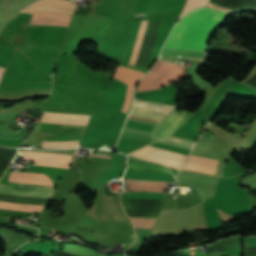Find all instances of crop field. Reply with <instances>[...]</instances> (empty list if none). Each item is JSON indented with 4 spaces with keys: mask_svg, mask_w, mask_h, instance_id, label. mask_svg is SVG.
<instances>
[{
    "mask_svg": "<svg viewBox=\"0 0 256 256\" xmlns=\"http://www.w3.org/2000/svg\"><path fill=\"white\" fill-rule=\"evenodd\" d=\"M21 154L26 155H47V156H57V157H65L72 159L73 155L69 154H60V153H50V152H40V151H27L20 150ZM28 160L34 162V165H50L60 168H68L71 160L57 157H46V156H26Z\"/></svg>",
    "mask_w": 256,
    "mask_h": 256,
    "instance_id": "crop-field-9",
    "label": "crop field"
},
{
    "mask_svg": "<svg viewBox=\"0 0 256 256\" xmlns=\"http://www.w3.org/2000/svg\"><path fill=\"white\" fill-rule=\"evenodd\" d=\"M147 22H148V21H144V25H143L142 30H141V32H140V35H139V37H138L136 49H135V52H134V54H133V57H132L131 63H130V64H132V65H133L134 62H135V59H136V56H137V53H138V50H139V47H140V44H141L143 35H144V33H145V30H146Z\"/></svg>",
    "mask_w": 256,
    "mask_h": 256,
    "instance_id": "crop-field-18",
    "label": "crop field"
},
{
    "mask_svg": "<svg viewBox=\"0 0 256 256\" xmlns=\"http://www.w3.org/2000/svg\"><path fill=\"white\" fill-rule=\"evenodd\" d=\"M207 0H187L186 5L184 7L183 12L181 13L179 19L184 16L189 10L201 6L203 4H205Z\"/></svg>",
    "mask_w": 256,
    "mask_h": 256,
    "instance_id": "crop-field-17",
    "label": "crop field"
},
{
    "mask_svg": "<svg viewBox=\"0 0 256 256\" xmlns=\"http://www.w3.org/2000/svg\"><path fill=\"white\" fill-rule=\"evenodd\" d=\"M79 140L76 141H46L42 143V147L47 148H68L76 147Z\"/></svg>",
    "mask_w": 256,
    "mask_h": 256,
    "instance_id": "crop-field-16",
    "label": "crop field"
},
{
    "mask_svg": "<svg viewBox=\"0 0 256 256\" xmlns=\"http://www.w3.org/2000/svg\"><path fill=\"white\" fill-rule=\"evenodd\" d=\"M34 14L30 24L69 26L72 16L50 11L32 12Z\"/></svg>",
    "mask_w": 256,
    "mask_h": 256,
    "instance_id": "crop-field-10",
    "label": "crop field"
},
{
    "mask_svg": "<svg viewBox=\"0 0 256 256\" xmlns=\"http://www.w3.org/2000/svg\"><path fill=\"white\" fill-rule=\"evenodd\" d=\"M127 170L170 172L159 164L128 156ZM129 190L164 192L169 181L125 178Z\"/></svg>",
    "mask_w": 256,
    "mask_h": 256,
    "instance_id": "crop-field-4",
    "label": "crop field"
},
{
    "mask_svg": "<svg viewBox=\"0 0 256 256\" xmlns=\"http://www.w3.org/2000/svg\"><path fill=\"white\" fill-rule=\"evenodd\" d=\"M191 113L186 110H174L155 128L152 134V142L172 134L178 126H180L190 115H192Z\"/></svg>",
    "mask_w": 256,
    "mask_h": 256,
    "instance_id": "crop-field-8",
    "label": "crop field"
},
{
    "mask_svg": "<svg viewBox=\"0 0 256 256\" xmlns=\"http://www.w3.org/2000/svg\"><path fill=\"white\" fill-rule=\"evenodd\" d=\"M62 1V0H61ZM58 0H39L31 6L25 8L21 12H32L36 10H50L56 12H62L67 14H73V4L65 3L66 1L73 2V0H66L61 2ZM74 3V2H73Z\"/></svg>",
    "mask_w": 256,
    "mask_h": 256,
    "instance_id": "crop-field-11",
    "label": "crop field"
},
{
    "mask_svg": "<svg viewBox=\"0 0 256 256\" xmlns=\"http://www.w3.org/2000/svg\"><path fill=\"white\" fill-rule=\"evenodd\" d=\"M189 77L179 64L157 60L153 68L140 80L136 92L161 89L167 84Z\"/></svg>",
    "mask_w": 256,
    "mask_h": 256,
    "instance_id": "crop-field-3",
    "label": "crop field"
},
{
    "mask_svg": "<svg viewBox=\"0 0 256 256\" xmlns=\"http://www.w3.org/2000/svg\"><path fill=\"white\" fill-rule=\"evenodd\" d=\"M158 143H163V144L174 145V146H179V147L192 149L195 142L185 140V139H181V138H177V137H173V136H169V137L159 141Z\"/></svg>",
    "mask_w": 256,
    "mask_h": 256,
    "instance_id": "crop-field-15",
    "label": "crop field"
},
{
    "mask_svg": "<svg viewBox=\"0 0 256 256\" xmlns=\"http://www.w3.org/2000/svg\"><path fill=\"white\" fill-rule=\"evenodd\" d=\"M117 71L129 73V74L140 76V77H142L145 74L143 72L136 71V70H133V69H130V68H127V67L120 66V65H119ZM117 71L115 72L114 77H116V78H118V79H120V80L129 84V86L127 87V95H126V98H125V102H124L123 108L121 110V111L126 113L127 110H128V107L130 105L131 99H132L133 85L138 79H140V77L128 75V74L117 72Z\"/></svg>",
    "mask_w": 256,
    "mask_h": 256,
    "instance_id": "crop-field-12",
    "label": "crop field"
},
{
    "mask_svg": "<svg viewBox=\"0 0 256 256\" xmlns=\"http://www.w3.org/2000/svg\"><path fill=\"white\" fill-rule=\"evenodd\" d=\"M9 181L18 182V183H21V185L20 187H15V186H7V185L0 184V188H8V189H16V190H24V191H32V192H40V193H48V194H52L55 188L51 180L48 179L45 174L11 172L9 176ZM0 193L45 198V199H49L51 196L47 194H39V193H31V192H23V191H15V190H7V189H0ZM0 200L19 202V203L39 204V205H45L47 202V200H44V199H36V198H28V197H20V196H12V195H4V194H0ZM2 201H0V208H3V209L40 212L43 208V206L2 202Z\"/></svg>",
    "mask_w": 256,
    "mask_h": 256,
    "instance_id": "crop-field-2",
    "label": "crop field"
},
{
    "mask_svg": "<svg viewBox=\"0 0 256 256\" xmlns=\"http://www.w3.org/2000/svg\"><path fill=\"white\" fill-rule=\"evenodd\" d=\"M99 152L108 153L107 151H99ZM95 154H101V153H95ZM103 155H108V154H103Z\"/></svg>",
    "mask_w": 256,
    "mask_h": 256,
    "instance_id": "crop-field-20",
    "label": "crop field"
},
{
    "mask_svg": "<svg viewBox=\"0 0 256 256\" xmlns=\"http://www.w3.org/2000/svg\"><path fill=\"white\" fill-rule=\"evenodd\" d=\"M229 9L216 5L189 12L174 27L164 48L206 51L207 43Z\"/></svg>",
    "mask_w": 256,
    "mask_h": 256,
    "instance_id": "crop-field-1",
    "label": "crop field"
},
{
    "mask_svg": "<svg viewBox=\"0 0 256 256\" xmlns=\"http://www.w3.org/2000/svg\"><path fill=\"white\" fill-rule=\"evenodd\" d=\"M219 160L190 155L182 169L195 170L207 174H215Z\"/></svg>",
    "mask_w": 256,
    "mask_h": 256,
    "instance_id": "crop-field-13",
    "label": "crop field"
},
{
    "mask_svg": "<svg viewBox=\"0 0 256 256\" xmlns=\"http://www.w3.org/2000/svg\"><path fill=\"white\" fill-rule=\"evenodd\" d=\"M133 107L150 110V111H155V112H160V113H165V114H169L175 108L174 106L163 105V104L142 101V100H137V99H135ZM135 108L132 109V112L130 115L147 118V119H152V120H157V121H160L164 117L167 116L165 114H160V113H155V112H150V111H145V110H140V109H135ZM132 116H129L128 118L158 124L157 121H152V120H147V119H142V118H137V117H132Z\"/></svg>",
    "mask_w": 256,
    "mask_h": 256,
    "instance_id": "crop-field-6",
    "label": "crop field"
},
{
    "mask_svg": "<svg viewBox=\"0 0 256 256\" xmlns=\"http://www.w3.org/2000/svg\"><path fill=\"white\" fill-rule=\"evenodd\" d=\"M89 117L90 116H86V115L58 114V113L44 112L41 121L86 126Z\"/></svg>",
    "mask_w": 256,
    "mask_h": 256,
    "instance_id": "crop-field-14",
    "label": "crop field"
},
{
    "mask_svg": "<svg viewBox=\"0 0 256 256\" xmlns=\"http://www.w3.org/2000/svg\"><path fill=\"white\" fill-rule=\"evenodd\" d=\"M4 70H5V68L0 67V79H1V76H2V74H3V72H4Z\"/></svg>",
    "mask_w": 256,
    "mask_h": 256,
    "instance_id": "crop-field-19",
    "label": "crop field"
},
{
    "mask_svg": "<svg viewBox=\"0 0 256 256\" xmlns=\"http://www.w3.org/2000/svg\"><path fill=\"white\" fill-rule=\"evenodd\" d=\"M255 75H256V74H255ZM255 75H253V76H255ZM253 76H252V77H253ZM252 77H251V78H252ZM251 78H250V79H251ZM250 79H249V80H250ZM247 81H248V80H247ZM247 81H246V82H247Z\"/></svg>",
    "mask_w": 256,
    "mask_h": 256,
    "instance_id": "crop-field-21",
    "label": "crop field"
},
{
    "mask_svg": "<svg viewBox=\"0 0 256 256\" xmlns=\"http://www.w3.org/2000/svg\"><path fill=\"white\" fill-rule=\"evenodd\" d=\"M135 157L155 161L164 165L180 169L184 164L187 155L175 153L161 148L146 145L145 147L131 153Z\"/></svg>",
    "mask_w": 256,
    "mask_h": 256,
    "instance_id": "crop-field-5",
    "label": "crop field"
},
{
    "mask_svg": "<svg viewBox=\"0 0 256 256\" xmlns=\"http://www.w3.org/2000/svg\"><path fill=\"white\" fill-rule=\"evenodd\" d=\"M162 198L121 196L125 212L159 213Z\"/></svg>",
    "mask_w": 256,
    "mask_h": 256,
    "instance_id": "crop-field-7",
    "label": "crop field"
}]
</instances>
